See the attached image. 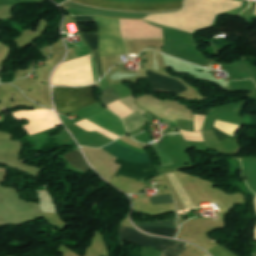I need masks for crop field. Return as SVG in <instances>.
<instances>
[{"label":"crop field","mask_w":256,"mask_h":256,"mask_svg":"<svg viewBox=\"0 0 256 256\" xmlns=\"http://www.w3.org/2000/svg\"><path fill=\"white\" fill-rule=\"evenodd\" d=\"M102 148L105 151H107L109 154H111L119 159L126 160L128 162H134V163L152 162L146 152L128 149V148L118 145L116 143H111ZM119 159H117L115 161V163L122 165L121 168L117 172V174H119V175L131 177V178H148V177L159 176L153 163L133 164V163H127V162L119 160Z\"/></svg>","instance_id":"8a807250"},{"label":"crop field","mask_w":256,"mask_h":256,"mask_svg":"<svg viewBox=\"0 0 256 256\" xmlns=\"http://www.w3.org/2000/svg\"><path fill=\"white\" fill-rule=\"evenodd\" d=\"M119 241H130L138 245L163 251L160 256H180L188 243L146 236L133 228L119 226Z\"/></svg>","instance_id":"ac0d7876"},{"label":"crop field","mask_w":256,"mask_h":256,"mask_svg":"<svg viewBox=\"0 0 256 256\" xmlns=\"http://www.w3.org/2000/svg\"><path fill=\"white\" fill-rule=\"evenodd\" d=\"M57 112L68 115L97 102L93 85L85 88H54Z\"/></svg>","instance_id":"34b2d1b8"},{"label":"crop field","mask_w":256,"mask_h":256,"mask_svg":"<svg viewBox=\"0 0 256 256\" xmlns=\"http://www.w3.org/2000/svg\"><path fill=\"white\" fill-rule=\"evenodd\" d=\"M94 17L99 31L100 55L127 52L120 36L118 19Z\"/></svg>","instance_id":"412701ff"},{"label":"crop field","mask_w":256,"mask_h":256,"mask_svg":"<svg viewBox=\"0 0 256 256\" xmlns=\"http://www.w3.org/2000/svg\"><path fill=\"white\" fill-rule=\"evenodd\" d=\"M13 114L18 120L28 119L30 121L22 126L28 135L61 125L56 115L47 110L18 111Z\"/></svg>","instance_id":"f4fd0767"},{"label":"crop field","mask_w":256,"mask_h":256,"mask_svg":"<svg viewBox=\"0 0 256 256\" xmlns=\"http://www.w3.org/2000/svg\"><path fill=\"white\" fill-rule=\"evenodd\" d=\"M97 7H108L127 10H165L183 7V1L166 3H128L107 0H71Z\"/></svg>","instance_id":"dd49c442"},{"label":"crop field","mask_w":256,"mask_h":256,"mask_svg":"<svg viewBox=\"0 0 256 256\" xmlns=\"http://www.w3.org/2000/svg\"><path fill=\"white\" fill-rule=\"evenodd\" d=\"M119 23L123 40L163 38L162 29L144 21L119 19Z\"/></svg>","instance_id":"e52e79f7"},{"label":"crop field","mask_w":256,"mask_h":256,"mask_svg":"<svg viewBox=\"0 0 256 256\" xmlns=\"http://www.w3.org/2000/svg\"><path fill=\"white\" fill-rule=\"evenodd\" d=\"M146 72L155 90L172 92L176 94L186 90V87L182 83L171 77L153 73L149 70H146Z\"/></svg>","instance_id":"d8731c3e"},{"label":"crop field","mask_w":256,"mask_h":256,"mask_svg":"<svg viewBox=\"0 0 256 256\" xmlns=\"http://www.w3.org/2000/svg\"><path fill=\"white\" fill-rule=\"evenodd\" d=\"M123 121L125 123L128 133L149 122L145 117L136 112L130 117L124 119Z\"/></svg>","instance_id":"5a996713"},{"label":"crop field","mask_w":256,"mask_h":256,"mask_svg":"<svg viewBox=\"0 0 256 256\" xmlns=\"http://www.w3.org/2000/svg\"><path fill=\"white\" fill-rule=\"evenodd\" d=\"M70 161L71 163L78 169L86 172L87 170H89L91 167L88 165V163L85 161L82 153L78 152V151H73L67 155H65Z\"/></svg>","instance_id":"3316defc"},{"label":"crop field","mask_w":256,"mask_h":256,"mask_svg":"<svg viewBox=\"0 0 256 256\" xmlns=\"http://www.w3.org/2000/svg\"><path fill=\"white\" fill-rule=\"evenodd\" d=\"M145 232L175 238L177 229L166 227L139 228Z\"/></svg>","instance_id":"28ad6ade"},{"label":"crop field","mask_w":256,"mask_h":256,"mask_svg":"<svg viewBox=\"0 0 256 256\" xmlns=\"http://www.w3.org/2000/svg\"><path fill=\"white\" fill-rule=\"evenodd\" d=\"M137 227H150V226H166L177 228V218L161 221L157 223H142V222H133Z\"/></svg>","instance_id":"d1516ede"},{"label":"crop field","mask_w":256,"mask_h":256,"mask_svg":"<svg viewBox=\"0 0 256 256\" xmlns=\"http://www.w3.org/2000/svg\"><path fill=\"white\" fill-rule=\"evenodd\" d=\"M153 149L155 150L158 159L160 160L162 166L173 164L169 156L164 152V150L158 145H154Z\"/></svg>","instance_id":"22f410ed"},{"label":"crop field","mask_w":256,"mask_h":256,"mask_svg":"<svg viewBox=\"0 0 256 256\" xmlns=\"http://www.w3.org/2000/svg\"><path fill=\"white\" fill-rule=\"evenodd\" d=\"M102 102L104 105L120 99L119 96L111 88L102 90Z\"/></svg>","instance_id":"cbeb9de0"},{"label":"crop field","mask_w":256,"mask_h":256,"mask_svg":"<svg viewBox=\"0 0 256 256\" xmlns=\"http://www.w3.org/2000/svg\"><path fill=\"white\" fill-rule=\"evenodd\" d=\"M211 256H236L234 253L229 251L228 249L218 245L213 249L207 251Z\"/></svg>","instance_id":"5142ce71"},{"label":"crop field","mask_w":256,"mask_h":256,"mask_svg":"<svg viewBox=\"0 0 256 256\" xmlns=\"http://www.w3.org/2000/svg\"><path fill=\"white\" fill-rule=\"evenodd\" d=\"M88 44L90 45L92 51L98 50L97 40H98V32L94 33H82Z\"/></svg>","instance_id":"d9b57169"},{"label":"crop field","mask_w":256,"mask_h":256,"mask_svg":"<svg viewBox=\"0 0 256 256\" xmlns=\"http://www.w3.org/2000/svg\"><path fill=\"white\" fill-rule=\"evenodd\" d=\"M153 204L174 203L170 194L150 198Z\"/></svg>","instance_id":"733c2abd"},{"label":"crop field","mask_w":256,"mask_h":256,"mask_svg":"<svg viewBox=\"0 0 256 256\" xmlns=\"http://www.w3.org/2000/svg\"><path fill=\"white\" fill-rule=\"evenodd\" d=\"M94 53V57H95V64H96V69L98 72V76L99 78H101L103 76L102 72H101V65H100V56H99V52H93Z\"/></svg>","instance_id":"4a817a6b"},{"label":"crop field","mask_w":256,"mask_h":256,"mask_svg":"<svg viewBox=\"0 0 256 256\" xmlns=\"http://www.w3.org/2000/svg\"><path fill=\"white\" fill-rule=\"evenodd\" d=\"M76 22H93V16H77L74 17Z\"/></svg>","instance_id":"bc2a9ffb"},{"label":"crop field","mask_w":256,"mask_h":256,"mask_svg":"<svg viewBox=\"0 0 256 256\" xmlns=\"http://www.w3.org/2000/svg\"><path fill=\"white\" fill-rule=\"evenodd\" d=\"M212 130L215 133V135L217 136V138L219 139V141H223V140L227 139V136H228L227 134L222 133L215 127H212Z\"/></svg>","instance_id":"214f88e0"},{"label":"crop field","mask_w":256,"mask_h":256,"mask_svg":"<svg viewBox=\"0 0 256 256\" xmlns=\"http://www.w3.org/2000/svg\"><path fill=\"white\" fill-rule=\"evenodd\" d=\"M102 256V255H101Z\"/></svg>","instance_id":"92a150f3"}]
</instances>
